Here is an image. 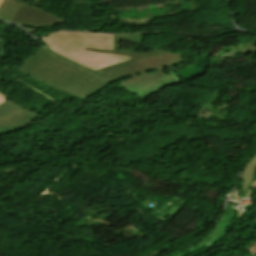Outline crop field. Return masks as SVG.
<instances>
[{
	"label": "crop field",
	"instance_id": "obj_1",
	"mask_svg": "<svg viewBox=\"0 0 256 256\" xmlns=\"http://www.w3.org/2000/svg\"><path fill=\"white\" fill-rule=\"evenodd\" d=\"M142 38L143 34L114 35L115 53L132 56L133 61H135L165 52V50L158 48L149 52L119 49L118 43L121 40L142 44ZM17 69L53 88L63 90L83 100L113 82V80L98 73L102 70L94 72L44 47L39 48Z\"/></svg>",
	"mask_w": 256,
	"mask_h": 256
},
{
	"label": "crop field",
	"instance_id": "obj_2",
	"mask_svg": "<svg viewBox=\"0 0 256 256\" xmlns=\"http://www.w3.org/2000/svg\"><path fill=\"white\" fill-rule=\"evenodd\" d=\"M183 62L182 52H165L100 73L113 79L121 88L143 100L171 85L181 83L167 67Z\"/></svg>",
	"mask_w": 256,
	"mask_h": 256
},
{
	"label": "crop field",
	"instance_id": "obj_3",
	"mask_svg": "<svg viewBox=\"0 0 256 256\" xmlns=\"http://www.w3.org/2000/svg\"><path fill=\"white\" fill-rule=\"evenodd\" d=\"M47 48L94 71L131 61L113 52V35L60 32L41 38Z\"/></svg>",
	"mask_w": 256,
	"mask_h": 256
},
{
	"label": "crop field",
	"instance_id": "obj_4",
	"mask_svg": "<svg viewBox=\"0 0 256 256\" xmlns=\"http://www.w3.org/2000/svg\"><path fill=\"white\" fill-rule=\"evenodd\" d=\"M0 20L39 29L56 27L66 22V19L62 17L37 9L19 0H3L0 3Z\"/></svg>",
	"mask_w": 256,
	"mask_h": 256
},
{
	"label": "crop field",
	"instance_id": "obj_5",
	"mask_svg": "<svg viewBox=\"0 0 256 256\" xmlns=\"http://www.w3.org/2000/svg\"><path fill=\"white\" fill-rule=\"evenodd\" d=\"M37 117L39 116L7 100L0 104V135L19 130Z\"/></svg>",
	"mask_w": 256,
	"mask_h": 256
},
{
	"label": "crop field",
	"instance_id": "obj_6",
	"mask_svg": "<svg viewBox=\"0 0 256 256\" xmlns=\"http://www.w3.org/2000/svg\"><path fill=\"white\" fill-rule=\"evenodd\" d=\"M236 211H237L236 209L228 208L227 211L224 212L222 218L219 220V222L217 223L213 231L207 236V237H212V239L211 240L203 239L201 242L198 243V247L196 248L189 247L191 251L188 254L193 253L203 247L210 250L221 239V237L225 235L229 224L231 223L232 219L236 214ZM188 254L183 255L177 252L174 255L186 256Z\"/></svg>",
	"mask_w": 256,
	"mask_h": 256
},
{
	"label": "crop field",
	"instance_id": "obj_7",
	"mask_svg": "<svg viewBox=\"0 0 256 256\" xmlns=\"http://www.w3.org/2000/svg\"><path fill=\"white\" fill-rule=\"evenodd\" d=\"M255 171H256V154L247 162L241 175V187H242L243 195L245 194Z\"/></svg>",
	"mask_w": 256,
	"mask_h": 256
},
{
	"label": "crop field",
	"instance_id": "obj_8",
	"mask_svg": "<svg viewBox=\"0 0 256 256\" xmlns=\"http://www.w3.org/2000/svg\"><path fill=\"white\" fill-rule=\"evenodd\" d=\"M5 100H6V98H4L2 95H0V103L5 101Z\"/></svg>",
	"mask_w": 256,
	"mask_h": 256
},
{
	"label": "crop field",
	"instance_id": "obj_9",
	"mask_svg": "<svg viewBox=\"0 0 256 256\" xmlns=\"http://www.w3.org/2000/svg\"><path fill=\"white\" fill-rule=\"evenodd\" d=\"M235 205L229 204L228 207L234 208Z\"/></svg>",
	"mask_w": 256,
	"mask_h": 256
},
{
	"label": "crop field",
	"instance_id": "obj_10",
	"mask_svg": "<svg viewBox=\"0 0 256 256\" xmlns=\"http://www.w3.org/2000/svg\"><path fill=\"white\" fill-rule=\"evenodd\" d=\"M2 0H0V2H1Z\"/></svg>",
	"mask_w": 256,
	"mask_h": 256
}]
</instances>
